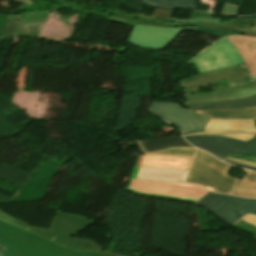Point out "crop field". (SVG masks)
<instances>
[{
    "label": "crop field",
    "mask_w": 256,
    "mask_h": 256,
    "mask_svg": "<svg viewBox=\"0 0 256 256\" xmlns=\"http://www.w3.org/2000/svg\"><path fill=\"white\" fill-rule=\"evenodd\" d=\"M226 77L231 89L200 94L198 88L208 86ZM248 69L245 63L202 73L182 79L177 82L186 103L222 101L245 98L256 94V83H248Z\"/></svg>",
    "instance_id": "1"
},
{
    "label": "crop field",
    "mask_w": 256,
    "mask_h": 256,
    "mask_svg": "<svg viewBox=\"0 0 256 256\" xmlns=\"http://www.w3.org/2000/svg\"><path fill=\"white\" fill-rule=\"evenodd\" d=\"M16 2L26 4L28 6L35 5L36 2L34 0H14ZM55 2L65 4L61 8H68L72 11L76 12H84V13H92L100 15L106 19L111 21L134 26V24H143V25H153L160 27H178V26H199L206 28H215V29H223V30H231L239 33H243L246 36L256 37V27L245 26L242 24L233 23L229 20L221 21L220 24H180L176 22H170L171 16L174 10L171 9H162L157 8L152 17L147 18L138 14L130 13L129 11L117 9L116 11L111 10L109 16L105 14H101L99 12L90 11V10H81L82 4H73L66 2H59L53 0Z\"/></svg>",
    "instance_id": "2"
},
{
    "label": "crop field",
    "mask_w": 256,
    "mask_h": 256,
    "mask_svg": "<svg viewBox=\"0 0 256 256\" xmlns=\"http://www.w3.org/2000/svg\"><path fill=\"white\" fill-rule=\"evenodd\" d=\"M231 167L210 154L197 150L187 182L202 185L212 191L231 194L235 178L226 175Z\"/></svg>",
    "instance_id": "3"
},
{
    "label": "crop field",
    "mask_w": 256,
    "mask_h": 256,
    "mask_svg": "<svg viewBox=\"0 0 256 256\" xmlns=\"http://www.w3.org/2000/svg\"><path fill=\"white\" fill-rule=\"evenodd\" d=\"M196 204L230 225L248 213L256 215V200L254 199L211 192Z\"/></svg>",
    "instance_id": "4"
},
{
    "label": "crop field",
    "mask_w": 256,
    "mask_h": 256,
    "mask_svg": "<svg viewBox=\"0 0 256 256\" xmlns=\"http://www.w3.org/2000/svg\"><path fill=\"white\" fill-rule=\"evenodd\" d=\"M0 236L45 256H104L93 252H74L61 248L51 241L3 221H0Z\"/></svg>",
    "instance_id": "5"
},
{
    "label": "crop field",
    "mask_w": 256,
    "mask_h": 256,
    "mask_svg": "<svg viewBox=\"0 0 256 256\" xmlns=\"http://www.w3.org/2000/svg\"><path fill=\"white\" fill-rule=\"evenodd\" d=\"M147 111L177 125L182 134L202 132L208 121V118L180 107L179 103L151 102Z\"/></svg>",
    "instance_id": "6"
},
{
    "label": "crop field",
    "mask_w": 256,
    "mask_h": 256,
    "mask_svg": "<svg viewBox=\"0 0 256 256\" xmlns=\"http://www.w3.org/2000/svg\"><path fill=\"white\" fill-rule=\"evenodd\" d=\"M190 62L193 63L197 73H201L242 63L243 59L237 49L226 38H223L196 54Z\"/></svg>",
    "instance_id": "7"
},
{
    "label": "crop field",
    "mask_w": 256,
    "mask_h": 256,
    "mask_svg": "<svg viewBox=\"0 0 256 256\" xmlns=\"http://www.w3.org/2000/svg\"><path fill=\"white\" fill-rule=\"evenodd\" d=\"M93 222L94 220L57 211L51 227L46 232L64 244L80 248L85 239L71 235L82 231Z\"/></svg>",
    "instance_id": "8"
},
{
    "label": "crop field",
    "mask_w": 256,
    "mask_h": 256,
    "mask_svg": "<svg viewBox=\"0 0 256 256\" xmlns=\"http://www.w3.org/2000/svg\"><path fill=\"white\" fill-rule=\"evenodd\" d=\"M182 30H197V27L159 28L135 25L129 43L139 47L163 49Z\"/></svg>",
    "instance_id": "9"
},
{
    "label": "crop field",
    "mask_w": 256,
    "mask_h": 256,
    "mask_svg": "<svg viewBox=\"0 0 256 256\" xmlns=\"http://www.w3.org/2000/svg\"><path fill=\"white\" fill-rule=\"evenodd\" d=\"M204 135H223L232 138L248 141L256 133L252 120H230V119H211L206 126ZM190 134V135H198ZM187 136V135H184Z\"/></svg>",
    "instance_id": "10"
},
{
    "label": "crop field",
    "mask_w": 256,
    "mask_h": 256,
    "mask_svg": "<svg viewBox=\"0 0 256 256\" xmlns=\"http://www.w3.org/2000/svg\"><path fill=\"white\" fill-rule=\"evenodd\" d=\"M130 186L142 191L193 198H200L209 192L199 185L165 183L157 181L132 180Z\"/></svg>",
    "instance_id": "11"
},
{
    "label": "crop field",
    "mask_w": 256,
    "mask_h": 256,
    "mask_svg": "<svg viewBox=\"0 0 256 256\" xmlns=\"http://www.w3.org/2000/svg\"><path fill=\"white\" fill-rule=\"evenodd\" d=\"M192 145L204 149L220 159H225L236 149L242 146L245 141L236 140L223 136H187L185 137ZM215 156V157H216Z\"/></svg>",
    "instance_id": "12"
},
{
    "label": "crop field",
    "mask_w": 256,
    "mask_h": 256,
    "mask_svg": "<svg viewBox=\"0 0 256 256\" xmlns=\"http://www.w3.org/2000/svg\"><path fill=\"white\" fill-rule=\"evenodd\" d=\"M0 219L3 220V221H6L12 225H15L17 227H20L22 229H25V230H28V231H31L37 235H40L46 239H49L55 243H57L59 246H62V247H66V248H69L71 250H74V251H93V252H97V253H101V254H104V255H107V256H120V255H116V254H112V253H108L106 251H103L104 250V247H101L100 244H98L96 241L94 240H90V239H87L85 240V242L83 243V245L81 246L80 249L78 248H74V247H71V246H68V245H64L62 243H60L59 241H57L56 239H54L53 237H51L49 234H47L45 231V229L43 228H38V227H34V226H30L22 221H19L17 219H12V217H10L9 215L3 213L0 211Z\"/></svg>",
    "instance_id": "13"
},
{
    "label": "crop field",
    "mask_w": 256,
    "mask_h": 256,
    "mask_svg": "<svg viewBox=\"0 0 256 256\" xmlns=\"http://www.w3.org/2000/svg\"><path fill=\"white\" fill-rule=\"evenodd\" d=\"M227 39L241 53L245 63L250 69V76L256 75V38L244 36H230Z\"/></svg>",
    "instance_id": "14"
},
{
    "label": "crop field",
    "mask_w": 256,
    "mask_h": 256,
    "mask_svg": "<svg viewBox=\"0 0 256 256\" xmlns=\"http://www.w3.org/2000/svg\"><path fill=\"white\" fill-rule=\"evenodd\" d=\"M192 159L140 155L136 166L188 170Z\"/></svg>",
    "instance_id": "15"
},
{
    "label": "crop field",
    "mask_w": 256,
    "mask_h": 256,
    "mask_svg": "<svg viewBox=\"0 0 256 256\" xmlns=\"http://www.w3.org/2000/svg\"><path fill=\"white\" fill-rule=\"evenodd\" d=\"M187 172L188 171H183V170L140 167L136 178L185 182Z\"/></svg>",
    "instance_id": "16"
},
{
    "label": "crop field",
    "mask_w": 256,
    "mask_h": 256,
    "mask_svg": "<svg viewBox=\"0 0 256 256\" xmlns=\"http://www.w3.org/2000/svg\"><path fill=\"white\" fill-rule=\"evenodd\" d=\"M185 106L189 107L191 110L194 111L256 107V95L245 99H236L222 102L194 103L186 104Z\"/></svg>",
    "instance_id": "17"
},
{
    "label": "crop field",
    "mask_w": 256,
    "mask_h": 256,
    "mask_svg": "<svg viewBox=\"0 0 256 256\" xmlns=\"http://www.w3.org/2000/svg\"><path fill=\"white\" fill-rule=\"evenodd\" d=\"M146 152L162 150L177 146H191L181 135L139 140Z\"/></svg>",
    "instance_id": "18"
},
{
    "label": "crop field",
    "mask_w": 256,
    "mask_h": 256,
    "mask_svg": "<svg viewBox=\"0 0 256 256\" xmlns=\"http://www.w3.org/2000/svg\"><path fill=\"white\" fill-rule=\"evenodd\" d=\"M210 118L249 119L256 118V108H242L229 110L201 111Z\"/></svg>",
    "instance_id": "19"
},
{
    "label": "crop field",
    "mask_w": 256,
    "mask_h": 256,
    "mask_svg": "<svg viewBox=\"0 0 256 256\" xmlns=\"http://www.w3.org/2000/svg\"><path fill=\"white\" fill-rule=\"evenodd\" d=\"M246 171L248 173L243 180L236 179L232 194L242 197L256 198V173L248 170Z\"/></svg>",
    "instance_id": "20"
},
{
    "label": "crop field",
    "mask_w": 256,
    "mask_h": 256,
    "mask_svg": "<svg viewBox=\"0 0 256 256\" xmlns=\"http://www.w3.org/2000/svg\"><path fill=\"white\" fill-rule=\"evenodd\" d=\"M0 256H42L24 247L0 238Z\"/></svg>",
    "instance_id": "21"
},
{
    "label": "crop field",
    "mask_w": 256,
    "mask_h": 256,
    "mask_svg": "<svg viewBox=\"0 0 256 256\" xmlns=\"http://www.w3.org/2000/svg\"><path fill=\"white\" fill-rule=\"evenodd\" d=\"M130 181H131V179L127 180V184H126V188H125V191L128 193L144 195V196H149V197H153V198H161V199H168V200H175V201H185V202H191V203H196L197 201H199L201 199V198L200 199L182 198V197H176V196H170V195L141 192V191H138L136 189L129 187Z\"/></svg>",
    "instance_id": "22"
},
{
    "label": "crop field",
    "mask_w": 256,
    "mask_h": 256,
    "mask_svg": "<svg viewBox=\"0 0 256 256\" xmlns=\"http://www.w3.org/2000/svg\"><path fill=\"white\" fill-rule=\"evenodd\" d=\"M195 150L196 149L194 148H172V149H166L162 151L149 153L147 155H166V156L192 158L195 153Z\"/></svg>",
    "instance_id": "23"
},
{
    "label": "crop field",
    "mask_w": 256,
    "mask_h": 256,
    "mask_svg": "<svg viewBox=\"0 0 256 256\" xmlns=\"http://www.w3.org/2000/svg\"><path fill=\"white\" fill-rule=\"evenodd\" d=\"M162 6L179 7L185 9H194L196 0H147Z\"/></svg>",
    "instance_id": "24"
},
{
    "label": "crop field",
    "mask_w": 256,
    "mask_h": 256,
    "mask_svg": "<svg viewBox=\"0 0 256 256\" xmlns=\"http://www.w3.org/2000/svg\"><path fill=\"white\" fill-rule=\"evenodd\" d=\"M221 20H225V18H195L191 20L172 18V21L180 23H219Z\"/></svg>",
    "instance_id": "25"
},
{
    "label": "crop field",
    "mask_w": 256,
    "mask_h": 256,
    "mask_svg": "<svg viewBox=\"0 0 256 256\" xmlns=\"http://www.w3.org/2000/svg\"><path fill=\"white\" fill-rule=\"evenodd\" d=\"M235 153L256 155V136Z\"/></svg>",
    "instance_id": "26"
},
{
    "label": "crop field",
    "mask_w": 256,
    "mask_h": 256,
    "mask_svg": "<svg viewBox=\"0 0 256 256\" xmlns=\"http://www.w3.org/2000/svg\"><path fill=\"white\" fill-rule=\"evenodd\" d=\"M220 13H223L226 15H237L238 7H235V6L227 4V3H223Z\"/></svg>",
    "instance_id": "27"
},
{
    "label": "crop field",
    "mask_w": 256,
    "mask_h": 256,
    "mask_svg": "<svg viewBox=\"0 0 256 256\" xmlns=\"http://www.w3.org/2000/svg\"><path fill=\"white\" fill-rule=\"evenodd\" d=\"M233 154L230 157H235V158H240V159L256 162V156H248V155H240V154H236L235 156H233Z\"/></svg>",
    "instance_id": "28"
},
{
    "label": "crop field",
    "mask_w": 256,
    "mask_h": 256,
    "mask_svg": "<svg viewBox=\"0 0 256 256\" xmlns=\"http://www.w3.org/2000/svg\"><path fill=\"white\" fill-rule=\"evenodd\" d=\"M234 227H236V228H238V229H241V230H243V231H245V232L251 233V234H253V235L255 236V238H256V231H255V230H252V229H250V228H248V227H245V226H243V225H241V224H239V223H237L236 225H234Z\"/></svg>",
    "instance_id": "29"
},
{
    "label": "crop field",
    "mask_w": 256,
    "mask_h": 256,
    "mask_svg": "<svg viewBox=\"0 0 256 256\" xmlns=\"http://www.w3.org/2000/svg\"><path fill=\"white\" fill-rule=\"evenodd\" d=\"M224 161L227 162V163H229V164H232V165H236V166H239V167H243V168H246V169H250V170L256 171V168H255V167H251V166L239 164V163H236V162H233V161H229V160H224Z\"/></svg>",
    "instance_id": "30"
},
{
    "label": "crop field",
    "mask_w": 256,
    "mask_h": 256,
    "mask_svg": "<svg viewBox=\"0 0 256 256\" xmlns=\"http://www.w3.org/2000/svg\"><path fill=\"white\" fill-rule=\"evenodd\" d=\"M242 220L256 226V216L248 215L247 217L243 218Z\"/></svg>",
    "instance_id": "31"
},
{
    "label": "crop field",
    "mask_w": 256,
    "mask_h": 256,
    "mask_svg": "<svg viewBox=\"0 0 256 256\" xmlns=\"http://www.w3.org/2000/svg\"><path fill=\"white\" fill-rule=\"evenodd\" d=\"M227 159H229V160H233V161H236V162H239V163H243V164H247V165L255 166V167H256V163H253V162L244 161V160H239V159L230 158V157H228Z\"/></svg>",
    "instance_id": "32"
},
{
    "label": "crop field",
    "mask_w": 256,
    "mask_h": 256,
    "mask_svg": "<svg viewBox=\"0 0 256 256\" xmlns=\"http://www.w3.org/2000/svg\"><path fill=\"white\" fill-rule=\"evenodd\" d=\"M239 223H241V224H243V225H245V226H248V227L253 228V229L256 230V227H255V226L250 225V224H248V223H246V222H244V221H242V220H240Z\"/></svg>",
    "instance_id": "33"
},
{
    "label": "crop field",
    "mask_w": 256,
    "mask_h": 256,
    "mask_svg": "<svg viewBox=\"0 0 256 256\" xmlns=\"http://www.w3.org/2000/svg\"><path fill=\"white\" fill-rule=\"evenodd\" d=\"M138 169H139V167H135V168H134V171H133V174H132V177H131V178H135V177H136V174H137V172H138Z\"/></svg>",
    "instance_id": "34"
},
{
    "label": "crop field",
    "mask_w": 256,
    "mask_h": 256,
    "mask_svg": "<svg viewBox=\"0 0 256 256\" xmlns=\"http://www.w3.org/2000/svg\"><path fill=\"white\" fill-rule=\"evenodd\" d=\"M138 157H139V156H137V158H136V160H135V162H134V164H133V168H134V166L136 165V162H137V160H138ZM133 168H132V171H133ZM132 171H131V173H130L129 178L131 177Z\"/></svg>",
    "instance_id": "35"
},
{
    "label": "crop field",
    "mask_w": 256,
    "mask_h": 256,
    "mask_svg": "<svg viewBox=\"0 0 256 256\" xmlns=\"http://www.w3.org/2000/svg\"><path fill=\"white\" fill-rule=\"evenodd\" d=\"M136 141H137V143H138V145H139V147H140L142 153H145L144 150H143V148H142V146H141L140 143L138 142V140H136Z\"/></svg>",
    "instance_id": "36"
},
{
    "label": "crop field",
    "mask_w": 256,
    "mask_h": 256,
    "mask_svg": "<svg viewBox=\"0 0 256 256\" xmlns=\"http://www.w3.org/2000/svg\"><path fill=\"white\" fill-rule=\"evenodd\" d=\"M252 120H253L254 127H255V130H256V119H252Z\"/></svg>",
    "instance_id": "37"
},
{
    "label": "crop field",
    "mask_w": 256,
    "mask_h": 256,
    "mask_svg": "<svg viewBox=\"0 0 256 256\" xmlns=\"http://www.w3.org/2000/svg\"><path fill=\"white\" fill-rule=\"evenodd\" d=\"M252 81H256V76L251 77Z\"/></svg>",
    "instance_id": "38"
},
{
    "label": "crop field",
    "mask_w": 256,
    "mask_h": 256,
    "mask_svg": "<svg viewBox=\"0 0 256 256\" xmlns=\"http://www.w3.org/2000/svg\"><path fill=\"white\" fill-rule=\"evenodd\" d=\"M210 121V120H209Z\"/></svg>",
    "instance_id": "39"
}]
</instances>
